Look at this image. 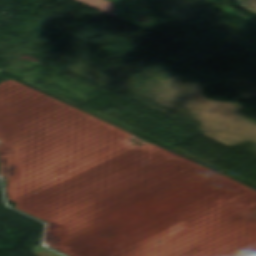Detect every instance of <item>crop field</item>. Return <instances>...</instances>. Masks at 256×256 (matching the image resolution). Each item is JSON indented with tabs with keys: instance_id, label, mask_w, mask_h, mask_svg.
I'll return each instance as SVG.
<instances>
[{
	"instance_id": "8a807250",
	"label": "crop field",
	"mask_w": 256,
	"mask_h": 256,
	"mask_svg": "<svg viewBox=\"0 0 256 256\" xmlns=\"http://www.w3.org/2000/svg\"><path fill=\"white\" fill-rule=\"evenodd\" d=\"M123 21L125 23H132L134 27L136 28H141L145 30H150L154 31L157 21L153 20V17L151 16H144V15H139L135 13H126V12H121ZM150 23H154V25H150Z\"/></svg>"
},
{
	"instance_id": "ac0d7876",
	"label": "crop field",
	"mask_w": 256,
	"mask_h": 256,
	"mask_svg": "<svg viewBox=\"0 0 256 256\" xmlns=\"http://www.w3.org/2000/svg\"><path fill=\"white\" fill-rule=\"evenodd\" d=\"M149 0H113L117 11L134 10L144 14H152L149 6Z\"/></svg>"
},
{
	"instance_id": "34b2d1b8",
	"label": "crop field",
	"mask_w": 256,
	"mask_h": 256,
	"mask_svg": "<svg viewBox=\"0 0 256 256\" xmlns=\"http://www.w3.org/2000/svg\"><path fill=\"white\" fill-rule=\"evenodd\" d=\"M238 2L242 3L240 7L256 14V0H238Z\"/></svg>"
},
{
	"instance_id": "412701ff",
	"label": "crop field",
	"mask_w": 256,
	"mask_h": 256,
	"mask_svg": "<svg viewBox=\"0 0 256 256\" xmlns=\"http://www.w3.org/2000/svg\"><path fill=\"white\" fill-rule=\"evenodd\" d=\"M33 253L38 255V256H59L57 254H54V253H52L48 250H45V249L41 248V247H35Z\"/></svg>"
}]
</instances>
